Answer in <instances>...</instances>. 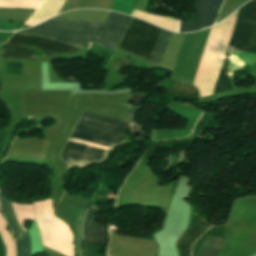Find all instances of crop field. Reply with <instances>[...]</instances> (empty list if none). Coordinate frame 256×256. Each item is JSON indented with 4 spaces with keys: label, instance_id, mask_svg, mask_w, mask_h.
<instances>
[{
    "label": "crop field",
    "instance_id": "cbeb9de0",
    "mask_svg": "<svg viewBox=\"0 0 256 256\" xmlns=\"http://www.w3.org/2000/svg\"><path fill=\"white\" fill-rule=\"evenodd\" d=\"M14 32H0V44L4 43Z\"/></svg>",
    "mask_w": 256,
    "mask_h": 256
},
{
    "label": "crop field",
    "instance_id": "412701ff",
    "mask_svg": "<svg viewBox=\"0 0 256 256\" xmlns=\"http://www.w3.org/2000/svg\"><path fill=\"white\" fill-rule=\"evenodd\" d=\"M247 7H248V4L242 6V8H241V12H240V15L238 18L236 29H235L233 39H232V42L230 45L228 57L224 63V67L222 70V74H221V78H220L219 85L217 88V92L232 89V86H231L229 78H228L229 59H230L232 50L238 51L240 46L243 44L244 38L246 36ZM255 35H256V0H252L249 2V8H248V33H247L246 39H245L244 44L241 47L240 51L249 53V51L253 45ZM250 53L256 54V39H255V43H254Z\"/></svg>",
    "mask_w": 256,
    "mask_h": 256
},
{
    "label": "crop field",
    "instance_id": "28ad6ade",
    "mask_svg": "<svg viewBox=\"0 0 256 256\" xmlns=\"http://www.w3.org/2000/svg\"><path fill=\"white\" fill-rule=\"evenodd\" d=\"M214 239H215V237L208 235L207 238L205 239L204 243H203V246H202L199 254L197 256H206V254H207L210 246L212 245ZM224 241H225V239H221L219 237H216V239H215L212 247L210 248L207 256H215Z\"/></svg>",
    "mask_w": 256,
    "mask_h": 256
},
{
    "label": "crop field",
    "instance_id": "d1516ede",
    "mask_svg": "<svg viewBox=\"0 0 256 256\" xmlns=\"http://www.w3.org/2000/svg\"><path fill=\"white\" fill-rule=\"evenodd\" d=\"M135 3L136 0H114L111 10L130 15Z\"/></svg>",
    "mask_w": 256,
    "mask_h": 256
},
{
    "label": "crop field",
    "instance_id": "5142ce71",
    "mask_svg": "<svg viewBox=\"0 0 256 256\" xmlns=\"http://www.w3.org/2000/svg\"><path fill=\"white\" fill-rule=\"evenodd\" d=\"M0 48H1V46H0ZM1 63V62H0Z\"/></svg>",
    "mask_w": 256,
    "mask_h": 256
},
{
    "label": "crop field",
    "instance_id": "ac0d7876",
    "mask_svg": "<svg viewBox=\"0 0 256 256\" xmlns=\"http://www.w3.org/2000/svg\"><path fill=\"white\" fill-rule=\"evenodd\" d=\"M76 126V125H75ZM127 134L125 122L117 121L89 113L83 112L77 126L74 128L72 135L118 146L123 144ZM70 139L98 145L104 147V144L76 138L70 136ZM99 151L86 149L67 144L63 150L61 159L69 161V159L88 161L97 158Z\"/></svg>",
    "mask_w": 256,
    "mask_h": 256
},
{
    "label": "crop field",
    "instance_id": "d8731c3e",
    "mask_svg": "<svg viewBox=\"0 0 256 256\" xmlns=\"http://www.w3.org/2000/svg\"><path fill=\"white\" fill-rule=\"evenodd\" d=\"M97 210H88L84 223V243L85 245H107V227L96 222Z\"/></svg>",
    "mask_w": 256,
    "mask_h": 256
},
{
    "label": "crop field",
    "instance_id": "3316defc",
    "mask_svg": "<svg viewBox=\"0 0 256 256\" xmlns=\"http://www.w3.org/2000/svg\"><path fill=\"white\" fill-rule=\"evenodd\" d=\"M171 34H172L171 32L161 30L159 40L156 44V47L154 49V52L152 54L149 64L156 65V66L159 65V63L163 57V54L165 52V49H166V46L168 44Z\"/></svg>",
    "mask_w": 256,
    "mask_h": 256
},
{
    "label": "crop field",
    "instance_id": "22f410ed",
    "mask_svg": "<svg viewBox=\"0 0 256 256\" xmlns=\"http://www.w3.org/2000/svg\"><path fill=\"white\" fill-rule=\"evenodd\" d=\"M21 24H14L8 22H0V30H16Z\"/></svg>",
    "mask_w": 256,
    "mask_h": 256
},
{
    "label": "crop field",
    "instance_id": "dd49c442",
    "mask_svg": "<svg viewBox=\"0 0 256 256\" xmlns=\"http://www.w3.org/2000/svg\"><path fill=\"white\" fill-rule=\"evenodd\" d=\"M222 1L224 0H197L196 19L187 23L180 21L178 32H191L212 26Z\"/></svg>",
    "mask_w": 256,
    "mask_h": 256
},
{
    "label": "crop field",
    "instance_id": "f4fd0767",
    "mask_svg": "<svg viewBox=\"0 0 256 256\" xmlns=\"http://www.w3.org/2000/svg\"><path fill=\"white\" fill-rule=\"evenodd\" d=\"M160 30L158 27L134 18L119 48L149 61Z\"/></svg>",
    "mask_w": 256,
    "mask_h": 256
},
{
    "label": "crop field",
    "instance_id": "34b2d1b8",
    "mask_svg": "<svg viewBox=\"0 0 256 256\" xmlns=\"http://www.w3.org/2000/svg\"><path fill=\"white\" fill-rule=\"evenodd\" d=\"M1 59L74 55L81 48L41 37L14 34L5 44Z\"/></svg>",
    "mask_w": 256,
    "mask_h": 256
},
{
    "label": "crop field",
    "instance_id": "5a996713",
    "mask_svg": "<svg viewBox=\"0 0 256 256\" xmlns=\"http://www.w3.org/2000/svg\"><path fill=\"white\" fill-rule=\"evenodd\" d=\"M211 225L206 224L202 219L187 231L178 240L177 245L182 256H191L190 248L194 241Z\"/></svg>",
    "mask_w": 256,
    "mask_h": 256
},
{
    "label": "crop field",
    "instance_id": "8a807250",
    "mask_svg": "<svg viewBox=\"0 0 256 256\" xmlns=\"http://www.w3.org/2000/svg\"><path fill=\"white\" fill-rule=\"evenodd\" d=\"M131 19L132 17L111 12L104 24L52 18L16 33L41 36L87 49L94 42L116 50Z\"/></svg>",
    "mask_w": 256,
    "mask_h": 256
},
{
    "label": "crop field",
    "instance_id": "e52e79f7",
    "mask_svg": "<svg viewBox=\"0 0 256 256\" xmlns=\"http://www.w3.org/2000/svg\"><path fill=\"white\" fill-rule=\"evenodd\" d=\"M0 205L4 213L7 224L11 227L13 234H20L22 231L20 225L18 224L13 210L10 206L9 200L4 198L0 193ZM16 242V252L17 256H30V238L27 231L20 234L15 240Z\"/></svg>",
    "mask_w": 256,
    "mask_h": 256
}]
</instances>
